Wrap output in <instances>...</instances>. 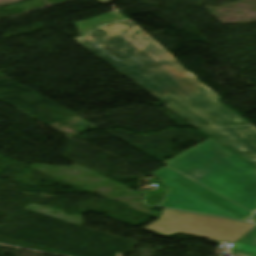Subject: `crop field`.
Returning a JSON list of instances; mask_svg holds the SVG:
<instances>
[{
	"label": "crop field",
	"instance_id": "obj_1",
	"mask_svg": "<svg viewBox=\"0 0 256 256\" xmlns=\"http://www.w3.org/2000/svg\"><path fill=\"white\" fill-rule=\"evenodd\" d=\"M73 41L256 168V128L221 104L134 23L101 26Z\"/></svg>",
	"mask_w": 256,
	"mask_h": 256
},
{
	"label": "crop field",
	"instance_id": "obj_2",
	"mask_svg": "<svg viewBox=\"0 0 256 256\" xmlns=\"http://www.w3.org/2000/svg\"><path fill=\"white\" fill-rule=\"evenodd\" d=\"M254 213L256 170L212 138L163 162Z\"/></svg>",
	"mask_w": 256,
	"mask_h": 256
},
{
	"label": "crop field",
	"instance_id": "obj_3",
	"mask_svg": "<svg viewBox=\"0 0 256 256\" xmlns=\"http://www.w3.org/2000/svg\"><path fill=\"white\" fill-rule=\"evenodd\" d=\"M169 188L161 206L248 221L253 213L164 167L154 172Z\"/></svg>",
	"mask_w": 256,
	"mask_h": 256
},
{
	"label": "crop field",
	"instance_id": "obj_4",
	"mask_svg": "<svg viewBox=\"0 0 256 256\" xmlns=\"http://www.w3.org/2000/svg\"><path fill=\"white\" fill-rule=\"evenodd\" d=\"M255 225L164 209L161 217L144 230L168 237L193 235L212 241L235 243Z\"/></svg>",
	"mask_w": 256,
	"mask_h": 256
},
{
	"label": "crop field",
	"instance_id": "obj_5",
	"mask_svg": "<svg viewBox=\"0 0 256 256\" xmlns=\"http://www.w3.org/2000/svg\"><path fill=\"white\" fill-rule=\"evenodd\" d=\"M121 19L129 20V19L123 17L120 14V12H116V13L104 14V15H101L99 17L93 18L88 21L76 23V26L79 29L80 35H83L89 31H91L90 30L91 28L96 27L104 22L112 21L111 23H114V22H117L116 20H121ZM108 24H110V23H108ZM103 25H105V24H103Z\"/></svg>",
	"mask_w": 256,
	"mask_h": 256
},
{
	"label": "crop field",
	"instance_id": "obj_6",
	"mask_svg": "<svg viewBox=\"0 0 256 256\" xmlns=\"http://www.w3.org/2000/svg\"><path fill=\"white\" fill-rule=\"evenodd\" d=\"M231 251L247 256H256V228L232 247Z\"/></svg>",
	"mask_w": 256,
	"mask_h": 256
},
{
	"label": "crop field",
	"instance_id": "obj_7",
	"mask_svg": "<svg viewBox=\"0 0 256 256\" xmlns=\"http://www.w3.org/2000/svg\"><path fill=\"white\" fill-rule=\"evenodd\" d=\"M101 4H103V3H107V1L106 0H98Z\"/></svg>",
	"mask_w": 256,
	"mask_h": 256
},
{
	"label": "crop field",
	"instance_id": "obj_8",
	"mask_svg": "<svg viewBox=\"0 0 256 256\" xmlns=\"http://www.w3.org/2000/svg\"><path fill=\"white\" fill-rule=\"evenodd\" d=\"M251 221L256 222V214H255L254 217L251 219Z\"/></svg>",
	"mask_w": 256,
	"mask_h": 256
},
{
	"label": "crop field",
	"instance_id": "obj_9",
	"mask_svg": "<svg viewBox=\"0 0 256 256\" xmlns=\"http://www.w3.org/2000/svg\"><path fill=\"white\" fill-rule=\"evenodd\" d=\"M110 2H112V1H116V0H109Z\"/></svg>",
	"mask_w": 256,
	"mask_h": 256
}]
</instances>
